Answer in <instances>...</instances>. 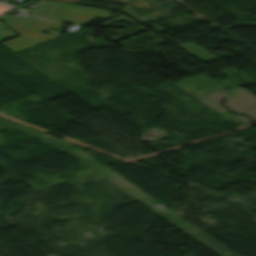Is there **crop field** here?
<instances>
[{
    "label": "crop field",
    "mask_w": 256,
    "mask_h": 256,
    "mask_svg": "<svg viewBox=\"0 0 256 256\" xmlns=\"http://www.w3.org/2000/svg\"><path fill=\"white\" fill-rule=\"evenodd\" d=\"M63 25L64 24L61 23L42 20L19 34L21 37L5 41L1 43V45L16 53L44 41L63 35L58 31L47 29L48 27L59 29ZM43 31H50L52 33L46 34L43 33Z\"/></svg>",
    "instance_id": "crop-field-1"
},
{
    "label": "crop field",
    "mask_w": 256,
    "mask_h": 256,
    "mask_svg": "<svg viewBox=\"0 0 256 256\" xmlns=\"http://www.w3.org/2000/svg\"><path fill=\"white\" fill-rule=\"evenodd\" d=\"M177 48L183 50L184 52L190 54L191 56L197 58L204 63L220 59L219 57L209 53L208 51L204 50L202 47L193 42L180 45Z\"/></svg>",
    "instance_id": "crop-field-3"
},
{
    "label": "crop field",
    "mask_w": 256,
    "mask_h": 256,
    "mask_svg": "<svg viewBox=\"0 0 256 256\" xmlns=\"http://www.w3.org/2000/svg\"><path fill=\"white\" fill-rule=\"evenodd\" d=\"M12 8L11 6L0 4V14L7 11L8 9Z\"/></svg>",
    "instance_id": "crop-field-6"
},
{
    "label": "crop field",
    "mask_w": 256,
    "mask_h": 256,
    "mask_svg": "<svg viewBox=\"0 0 256 256\" xmlns=\"http://www.w3.org/2000/svg\"><path fill=\"white\" fill-rule=\"evenodd\" d=\"M58 4V2L46 0L39 11L36 13V16L48 19Z\"/></svg>",
    "instance_id": "crop-field-5"
},
{
    "label": "crop field",
    "mask_w": 256,
    "mask_h": 256,
    "mask_svg": "<svg viewBox=\"0 0 256 256\" xmlns=\"http://www.w3.org/2000/svg\"><path fill=\"white\" fill-rule=\"evenodd\" d=\"M112 13V11L60 3L49 19L87 25L98 16L108 17Z\"/></svg>",
    "instance_id": "crop-field-2"
},
{
    "label": "crop field",
    "mask_w": 256,
    "mask_h": 256,
    "mask_svg": "<svg viewBox=\"0 0 256 256\" xmlns=\"http://www.w3.org/2000/svg\"><path fill=\"white\" fill-rule=\"evenodd\" d=\"M40 20L41 19L31 16L27 19L9 18L3 22L6 26H8L10 29H12L13 31L19 34Z\"/></svg>",
    "instance_id": "crop-field-4"
}]
</instances>
